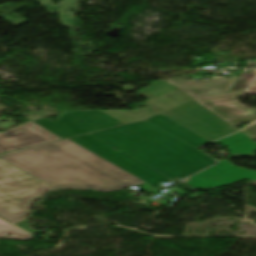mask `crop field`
Masks as SVG:
<instances>
[{
  "mask_svg": "<svg viewBox=\"0 0 256 256\" xmlns=\"http://www.w3.org/2000/svg\"><path fill=\"white\" fill-rule=\"evenodd\" d=\"M242 132H244L245 134H247L251 138L256 139V124L249 126L247 129H245Z\"/></svg>",
  "mask_w": 256,
  "mask_h": 256,
  "instance_id": "crop-field-17",
  "label": "crop field"
},
{
  "mask_svg": "<svg viewBox=\"0 0 256 256\" xmlns=\"http://www.w3.org/2000/svg\"><path fill=\"white\" fill-rule=\"evenodd\" d=\"M243 93H246V91L196 100L224 120L256 115V111L243 106L237 101V98Z\"/></svg>",
  "mask_w": 256,
  "mask_h": 256,
  "instance_id": "crop-field-10",
  "label": "crop field"
},
{
  "mask_svg": "<svg viewBox=\"0 0 256 256\" xmlns=\"http://www.w3.org/2000/svg\"><path fill=\"white\" fill-rule=\"evenodd\" d=\"M237 76H228L225 80H167L193 99L229 93Z\"/></svg>",
  "mask_w": 256,
  "mask_h": 256,
  "instance_id": "crop-field-11",
  "label": "crop field"
},
{
  "mask_svg": "<svg viewBox=\"0 0 256 256\" xmlns=\"http://www.w3.org/2000/svg\"><path fill=\"white\" fill-rule=\"evenodd\" d=\"M253 121H256V116H251V117H246V118H241V119H234V120H227V122H229L232 125L248 123V122H253Z\"/></svg>",
  "mask_w": 256,
  "mask_h": 256,
  "instance_id": "crop-field-16",
  "label": "crop field"
},
{
  "mask_svg": "<svg viewBox=\"0 0 256 256\" xmlns=\"http://www.w3.org/2000/svg\"><path fill=\"white\" fill-rule=\"evenodd\" d=\"M52 187L119 191L142 184L146 194L159 193L147 183L66 139L0 155Z\"/></svg>",
  "mask_w": 256,
  "mask_h": 256,
  "instance_id": "crop-field-1",
  "label": "crop field"
},
{
  "mask_svg": "<svg viewBox=\"0 0 256 256\" xmlns=\"http://www.w3.org/2000/svg\"><path fill=\"white\" fill-rule=\"evenodd\" d=\"M244 179L256 180V172L233 166L231 162L221 160L216 166L192 178L185 179L183 182L199 190L203 187L217 188L226 186Z\"/></svg>",
  "mask_w": 256,
  "mask_h": 256,
  "instance_id": "crop-field-8",
  "label": "crop field"
},
{
  "mask_svg": "<svg viewBox=\"0 0 256 256\" xmlns=\"http://www.w3.org/2000/svg\"><path fill=\"white\" fill-rule=\"evenodd\" d=\"M229 148L231 157H254L253 151H256V143L243 134L236 133L222 140L215 142Z\"/></svg>",
  "mask_w": 256,
  "mask_h": 256,
  "instance_id": "crop-field-13",
  "label": "crop field"
},
{
  "mask_svg": "<svg viewBox=\"0 0 256 256\" xmlns=\"http://www.w3.org/2000/svg\"><path fill=\"white\" fill-rule=\"evenodd\" d=\"M6 234H11L12 236H5ZM0 238L29 239L34 237L0 219Z\"/></svg>",
  "mask_w": 256,
  "mask_h": 256,
  "instance_id": "crop-field-14",
  "label": "crop field"
},
{
  "mask_svg": "<svg viewBox=\"0 0 256 256\" xmlns=\"http://www.w3.org/2000/svg\"><path fill=\"white\" fill-rule=\"evenodd\" d=\"M58 121L40 119L33 121L53 133L66 138L100 129L123 125V123L100 111H74L65 113Z\"/></svg>",
  "mask_w": 256,
  "mask_h": 256,
  "instance_id": "crop-field-6",
  "label": "crop field"
},
{
  "mask_svg": "<svg viewBox=\"0 0 256 256\" xmlns=\"http://www.w3.org/2000/svg\"><path fill=\"white\" fill-rule=\"evenodd\" d=\"M70 140L103 157L111 163L146 181L154 188H160L159 182H169L170 179L148 168L142 163L120 153L112 147L102 143L93 136L86 134Z\"/></svg>",
  "mask_w": 256,
  "mask_h": 256,
  "instance_id": "crop-field-7",
  "label": "crop field"
},
{
  "mask_svg": "<svg viewBox=\"0 0 256 256\" xmlns=\"http://www.w3.org/2000/svg\"><path fill=\"white\" fill-rule=\"evenodd\" d=\"M54 189L12 164L0 159V217L36 234L27 221L34 199Z\"/></svg>",
  "mask_w": 256,
  "mask_h": 256,
  "instance_id": "crop-field-3",
  "label": "crop field"
},
{
  "mask_svg": "<svg viewBox=\"0 0 256 256\" xmlns=\"http://www.w3.org/2000/svg\"><path fill=\"white\" fill-rule=\"evenodd\" d=\"M255 74H256V71H253V70H251L249 74H241L239 79L235 82L230 92L246 90V88L250 84Z\"/></svg>",
  "mask_w": 256,
  "mask_h": 256,
  "instance_id": "crop-field-15",
  "label": "crop field"
},
{
  "mask_svg": "<svg viewBox=\"0 0 256 256\" xmlns=\"http://www.w3.org/2000/svg\"><path fill=\"white\" fill-rule=\"evenodd\" d=\"M61 139L43 127L27 122L4 133L0 132V153Z\"/></svg>",
  "mask_w": 256,
  "mask_h": 256,
  "instance_id": "crop-field-9",
  "label": "crop field"
},
{
  "mask_svg": "<svg viewBox=\"0 0 256 256\" xmlns=\"http://www.w3.org/2000/svg\"><path fill=\"white\" fill-rule=\"evenodd\" d=\"M91 135L175 182L216 162L146 121Z\"/></svg>",
  "mask_w": 256,
  "mask_h": 256,
  "instance_id": "crop-field-2",
  "label": "crop field"
},
{
  "mask_svg": "<svg viewBox=\"0 0 256 256\" xmlns=\"http://www.w3.org/2000/svg\"><path fill=\"white\" fill-rule=\"evenodd\" d=\"M249 92H255L256 93V79L254 80V82L252 83Z\"/></svg>",
  "mask_w": 256,
  "mask_h": 256,
  "instance_id": "crop-field-18",
  "label": "crop field"
},
{
  "mask_svg": "<svg viewBox=\"0 0 256 256\" xmlns=\"http://www.w3.org/2000/svg\"><path fill=\"white\" fill-rule=\"evenodd\" d=\"M147 121L162 128L163 130L169 132L170 134L176 136L177 138L183 140L195 148L210 142L209 140L201 137L200 135L190 131L189 129L181 126L180 124L161 114L154 116Z\"/></svg>",
  "mask_w": 256,
  "mask_h": 256,
  "instance_id": "crop-field-12",
  "label": "crop field"
},
{
  "mask_svg": "<svg viewBox=\"0 0 256 256\" xmlns=\"http://www.w3.org/2000/svg\"><path fill=\"white\" fill-rule=\"evenodd\" d=\"M165 91H167V93H165ZM136 94L147 100L144 103L150 106L148 109L139 111L103 112L125 124H128L147 119L163 112L172 106L192 100L190 97L175 88L170 83L161 81L155 82L153 86L148 87ZM155 107L159 108L160 110H156Z\"/></svg>",
  "mask_w": 256,
  "mask_h": 256,
  "instance_id": "crop-field-5",
  "label": "crop field"
},
{
  "mask_svg": "<svg viewBox=\"0 0 256 256\" xmlns=\"http://www.w3.org/2000/svg\"><path fill=\"white\" fill-rule=\"evenodd\" d=\"M162 114L211 141L239 131L195 100Z\"/></svg>",
  "mask_w": 256,
  "mask_h": 256,
  "instance_id": "crop-field-4",
  "label": "crop field"
}]
</instances>
